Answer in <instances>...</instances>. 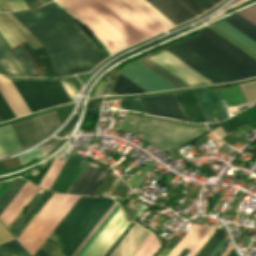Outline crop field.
Wrapping results in <instances>:
<instances>
[{"instance_id":"59","label":"crop field","mask_w":256,"mask_h":256,"mask_svg":"<svg viewBox=\"0 0 256 256\" xmlns=\"http://www.w3.org/2000/svg\"><path fill=\"white\" fill-rule=\"evenodd\" d=\"M87 164H88V161H87V163L85 164V166L82 167V169L80 170L78 176L76 177V179L74 180V182L72 183V185H74V184L76 183V181H77L78 178L80 177L81 173L83 172V170L85 169V167H86ZM72 187H73V186H72ZM70 188H71V186H70ZM70 188H69V189H70ZM68 191H69V190H68ZM68 191H67V193H68Z\"/></svg>"},{"instance_id":"26","label":"crop field","mask_w":256,"mask_h":256,"mask_svg":"<svg viewBox=\"0 0 256 256\" xmlns=\"http://www.w3.org/2000/svg\"><path fill=\"white\" fill-rule=\"evenodd\" d=\"M21 151L9 125L0 127V156H8Z\"/></svg>"},{"instance_id":"21","label":"crop field","mask_w":256,"mask_h":256,"mask_svg":"<svg viewBox=\"0 0 256 256\" xmlns=\"http://www.w3.org/2000/svg\"><path fill=\"white\" fill-rule=\"evenodd\" d=\"M240 13L256 24V5ZM241 14L237 13L223 20H225L226 22L234 26L236 29H238L239 31H241L242 33L256 41V25L248 19H246Z\"/></svg>"},{"instance_id":"47","label":"crop field","mask_w":256,"mask_h":256,"mask_svg":"<svg viewBox=\"0 0 256 256\" xmlns=\"http://www.w3.org/2000/svg\"><path fill=\"white\" fill-rule=\"evenodd\" d=\"M6 1H7L8 6L12 10H22V9L27 8V6L23 0H6Z\"/></svg>"},{"instance_id":"8","label":"crop field","mask_w":256,"mask_h":256,"mask_svg":"<svg viewBox=\"0 0 256 256\" xmlns=\"http://www.w3.org/2000/svg\"><path fill=\"white\" fill-rule=\"evenodd\" d=\"M119 73L147 92L176 88L138 61L128 64Z\"/></svg>"},{"instance_id":"19","label":"crop field","mask_w":256,"mask_h":256,"mask_svg":"<svg viewBox=\"0 0 256 256\" xmlns=\"http://www.w3.org/2000/svg\"><path fill=\"white\" fill-rule=\"evenodd\" d=\"M79 197L80 196H69L64 204L60 207V209L56 212V214L52 217L49 223L27 249L32 256L54 230V228L59 224V222L63 219V217L67 214V212L71 209V207L75 204V202L79 199Z\"/></svg>"},{"instance_id":"38","label":"crop field","mask_w":256,"mask_h":256,"mask_svg":"<svg viewBox=\"0 0 256 256\" xmlns=\"http://www.w3.org/2000/svg\"><path fill=\"white\" fill-rule=\"evenodd\" d=\"M21 251L24 249L16 240L0 245V256H10Z\"/></svg>"},{"instance_id":"25","label":"crop field","mask_w":256,"mask_h":256,"mask_svg":"<svg viewBox=\"0 0 256 256\" xmlns=\"http://www.w3.org/2000/svg\"><path fill=\"white\" fill-rule=\"evenodd\" d=\"M0 65L8 76H27L24 69L0 36Z\"/></svg>"},{"instance_id":"56","label":"crop field","mask_w":256,"mask_h":256,"mask_svg":"<svg viewBox=\"0 0 256 256\" xmlns=\"http://www.w3.org/2000/svg\"><path fill=\"white\" fill-rule=\"evenodd\" d=\"M27 37H28V39L30 40V41H28V42L31 44V46H32L33 48H36V47H40V46H41V45L39 44V42L33 37L32 34L27 35Z\"/></svg>"},{"instance_id":"17","label":"crop field","mask_w":256,"mask_h":256,"mask_svg":"<svg viewBox=\"0 0 256 256\" xmlns=\"http://www.w3.org/2000/svg\"><path fill=\"white\" fill-rule=\"evenodd\" d=\"M149 233L135 223L110 256H132Z\"/></svg>"},{"instance_id":"65","label":"crop field","mask_w":256,"mask_h":256,"mask_svg":"<svg viewBox=\"0 0 256 256\" xmlns=\"http://www.w3.org/2000/svg\"><path fill=\"white\" fill-rule=\"evenodd\" d=\"M223 129H224V131L226 132V133H229V131L226 129V127L223 125V126H221Z\"/></svg>"},{"instance_id":"16","label":"crop field","mask_w":256,"mask_h":256,"mask_svg":"<svg viewBox=\"0 0 256 256\" xmlns=\"http://www.w3.org/2000/svg\"><path fill=\"white\" fill-rule=\"evenodd\" d=\"M175 25L195 17L177 0H147Z\"/></svg>"},{"instance_id":"45","label":"crop field","mask_w":256,"mask_h":256,"mask_svg":"<svg viewBox=\"0 0 256 256\" xmlns=\"http://www.w3.org/2000/svg\"><path fill=\"white\" fill-rule=\"evenodd\" d=\"M0 116L3 119V121L10 120L15 118V115L9 108L8 104L0 94Z\"/></svg>"},{"instance_id":"20","label":"crop field","mask_w":256,"mask_h":256,"mask_svg":"<svg viewBox=\"0 0 256 256\" xmlns=\"http://www.w3.org/2000/svg\"><path fill=\"white\" fill-rule=\"evenodd\" d=\"M10 126L22 150L42 140L32 118Z\"/></svg>"},{"instance_id":"50","label":"crop field","mask_w":256,"mask_h":256,"mask_svg":"<svg viewBox=\"0 0 256 256\" xmlns=\"http://www.w3.org/2000/svg\"><path fill=\"white\" fill-rule=\"evenodd\" d=\"M140 1L143 4H145L149 9H151L155 14H157L161 19H163L167 24H169L171 27L175 26L167 18H165L160 12H158L154 7H152L147 1L145 0H140Z\"/></svg>"},{"instance_id":"18","label":"crop field","mask_w":256,"mask_h":256,"mask_svg":"<svg viewBox=\"0 0 256 256\" xmlns=\"http://www.w3.org/2000/svg\"><path fill=\"white\" fill-rule=\"evenodd\" d=\"M37 189L38 187L34 186L32 183L28 181L26 182L23 188L0 216V220L5 226H9V224L13 221V219L17 216V214L21 211Z\"/></svg>"},{"instance_id":"55","label":"crop field","mask_w":256,"mask_h":256,"mask_svg":"<svg viewBox=\"0 0 256 256\" xmlns=\"http://www.w3.org/2000/svg\"><path fill=\"white\" fill-rule=\"evenodd\" d=\"M18 27L19 29L25 34H30V32L28 30H26L21 24L19 21H17L10 13H7L6 14Z\"/></svg>"},{"instance_id":"30","label":"crop field","mask_w":256,"mask_h":256,"mask_svg":"<svg viewBox=\"0 0 256 256\" xmlns=\"http://www.w3.org/2000/svg\"><path fill=\"white\" fill-rule=\"evenodd\" d=\"M2 182H0V185L2 184ZM25 182H26V180L15 178L14 181L10 184V186L1 195V197H0V214L7 207V205L11 202V200L18 193V191L22 188V186L25 184Z\"/></svg>"},{"instance_id":"11","label":"crop field","mask_w":256,"mask_h":256,"mask_svg":"<svg viewBox=\"0 0 256 256\" xmlns=\"http://www.w3.org/2000/svg\"><path fill=\"white\" fill-rule=\"evenodd\" d=\"M164 51V49L157 51L150 56H153L159 52ZM152 60L169 70L171 73L182 79L188 84L192 83H200V82H208L209 80L188 67L186 64L169 54L168 52L164 51L156 56L150 57ZM207 84H213L212 82L208 83H200V84H192L191 86H197V85H207Z\"/></svg>"},{"instance_id":"67","label":"crop field","mask_w":256,"mask_h":256,"mask_svg":"<svg viewBox=\"0 0 256 256\" xmlns=\"http://www.w3.org/2000/svg\"><path fill=\"white\" fill-rule=\"evenodd\" d=\"M216 4L219 2V1H221V0H213Z\"/></svg>"},{"instance_id":"41","label":"crop field","mask_w":256,"mask_h":256,"mask_svg":"<svg viewBox=\"0 0 256 256\" xmlns=\"http://www.w3.org/2000/svg\"><path fill=\"white\" fill-rule=\"evenodd\" d=\"M119 107L146 113L139 98L122 99Z\"/></svg>"},{"instance_id":"58","label":"crop field","mask_w":256,"mask_h":256,"mask_svg":"<svg viewBox=\"0 0 256 256\" xmlns=\"http://www.w3.org/2000/svg\"><path fill=\"white\" fill-rule=\"evenodd\" d=\"M226 242L225 238L219 243V245L215 248V250L211 253L210 256H213L220 248L221 246ZM216 255V254H215Z\"/></svg>"},{"instance_id":"43","label":"crop field","mask_w":256,"mask_h":256,"mask_svg":"<svg viewBox=\"0 0 256 256\" xmlns=\"http://www.w3.org/2000/svg\"><path fill=\"white\" fill-rule=\"evenodd\" d=\"M18 157H19L20 162H21L22 165L29 162L34 157L37 158L38 160L44 158L40 147H37V148H35V149H33V150L23 154V155H19Z\"/></svg>"},{"instance_id":"4","label":"crop field","mask_w":256,"mask_h":256,"mask_svg":"<svg viewBox=\"0 0 256 256\" xmlns=\"http://www.w3.org/2000/svg\"><path fill=\"white\" fill-rule=\"evenodd\" d=\"M136 127L137 130L142 131L138 136L167 152L175 150L179 145L195 137L194 133L206 128L130 114H128L125 122L119 121L116 128L130 131Z\"/></svg>"},{"instance_id":"7","label":"crop field","mask_w":256,"mask_h":256,"mask_svg":"<svg viewBox=\"0 0 256 256\" xmlns=\"http://www.w3.org/2000/svg\"><path fill=\"white\" fill-rule=\"evenodd\" d=\"M165 49L214 83L235 80L182 42Z\"/></svg>"},{"instance_id":"42","label":"crop field","mask_w":256,"mask_h":256,"mask_svg":"<svg viewBox=\"0 0 256 256\" xmlns=\"http://www.w3.org/2000/svg\"><path fill=\"white\" fill-rule=\"evenodd\" d=\"M209 27H211L212 29H214L215 31H217L218 33H220L221 35L226 37L228 40H230L231 42H233L234 44H236L237 46H239L240 48H242L243 50H245L246 52H248L249 54H251L252 56H254L256 58V53L254 51H252L251 49L246 47L244 44H242L241 42H239L238 40H236L235 38H233L232 36H230L229 34L224 32L222 29H220L216 25L213 24Z\"/></svg>"},{"instance_id":"63","label":"crop field","mask_w":256,"mask_h":256,"mask_svg":"<svg viewBox=\"0 0 256 256\" xmlns=\"http://www.w3.org/2000/svg\"><path fill=\"white\" fill-rule=\"evenodd\" d=\"M189 252V250H186V249H184V251L181 253V255L180 256H186L187 255V253Z\"/></svg>"},{"instance_id":"3","label":"crop field","mask_w":256,"mask_h":256,"mask_svg":"<svg viewBox=\"0 0 256 256\" xmlns=\"http://www.w3.org/2000/svg\"><path fill=\"white\" fill-rule=\"evenodd\" d=\"M114 202L81 196L34 256H71Z\"/></svg>"},{"instance_id":"37","label":"crop field","mask_w":256,"mask_h":256,"mask_svg":"<svg viewBox=\"0 0 256 256\" xmlns=\"http://www.w3.org/2000/svg\"><path fill=\"white\" fill-rule=\"evenodd\" d=\"M63 164H64L63 161L54 159L53 163L51 164L43 180L40 182L39 186L49 189L55 177L57 176L58 172L60 171L61 167L63 166Z\"/></svg>"},{"instance_id":"28","label":"crop field","mask_w":256,"mask_h":256,"mask_svg":"<svg viewBox=\"0 0 256 256\" xmlns=\"http://www.w3.org/2000/svg\"><path fill=\"white\" fill-rule=\"evenodd\" d=\"M33 119L43 139L61 125L55 112L37 116Z\"/></svg>"},{"instance_id":"61","label":"crop field","mask_w":256,"mask_h":256,"mask_svg":"<svg viewBox=\"0 0 256 256\" xmlns=\"http://www.w3.org/2000/svg\"><path fill=\"white\" fill-rule=\"evenodd\" d=\"M172 249H163L162 252L158 256H167V254L171 251Z\"/></svg>"},{"instance_id":"51","label":"crop field","mask_w":256,"mask_h":256,"mask_svg":"<svg viewBox=\"0 0 256 256\" xmlns=\"http://www.w3.org/2000/svg\"><path fill=\"white\" fill-rule=\"evenodd\" d=\"M63 141H59V142H56V143H53V144H48V145L41 146L42 151L44 153V156L48 155L51 151H53Z\"/></svg>"},{"instance_id":"9","label":"crop field","mask_w":256,"mask_h":256,"mask_svg":"<svg viewBox=\"0 0 256 256\" xmlns=\"http://www.w3.org/2000/svg\"><path fill=\"white\" fill-rule=\"evenodd\" d=\"M68 196L54 193L17 238L27 249Z\"/></svg>"},{"instance_id":"54","label":"crop field","mask_w":256,"mask_h":256,"mask_svg":"<svg viewBox=\"0 0 256 256\" xmlns=\"http://www.w3.org/2000/svg\"><path fill=\"white\" fill-rule=\"evenodd\" d=\"M147 171V169H145L140 175L135 174L127 183L128 185H130L131 187L135 184H137V182L141 179V177L145 174V172Z\"/></svg>"},{"instance_id":"13","label":"crop field","mask_w":256,"mask_h":256,"mask_svg":"<svg viewBox=\"0 0 256 256\" xmlns=\"http://www.w3.org/2000/svg\"><path fill=\"white\" fill-rule=\"evenodd\" d=\"M211 226L204 223L203 226L193 224L182 240L176 245L168 256H179L184 248L191 250L187 256H193L209 239L212 233L216 230L217 226ZM214 228V229H213ZM210 229V230H209ZM213 231L211 232V230ZM209 230V231H208ZM208 231V233H207ZM211 232V233H210ZM207 233V236L205 235Z\"/></svg>"},{"instance_id":"23","label":"crop field","mask_w":256,"mask_h":256,"mask_svg":"<svg viewBox=\"0 0 256 256\" xmlns=\"http://www.w3.org/2000/svg\"><path fill=\"white\" fill-rule=\"evenodd\" d=\"M0 92L9 104L16 117L30 114V111L15 90L10 80L2 76H0Z\"/></svg>"},{"instance_id":"33","label":"crop field","mask_w":256,"mask_h":256,"mask_svg":"<svg viewBox=\"0 0 256 256\" xmlns=\"http://www.w3.org/2000/svg\"><path fill=\"white\" fill-rule=\"evenodd\" d=\"M215 24L256 52V43L253 40L239 32L223 20Z\"/></svg>"},{"instance_id":"52","label":"crop field","mask_w":256,"mask_h":256,"mask_svg":"<svg viewBox=\"0 0 256 256\" xmlns=\"http://www.w3.org/2000/svg\"><path fill=\"white\" fill-rule=\"evenodd\" d=\"M133 224L134 223L129 224V226L125 229V231L120 235V237L116 240V242L112 245V247L108 250V252L104 256H109V254L113 251V249L117 246V244L121 241V239L129 231V229L133 226Z\"/></svg>"},{"instance_id":"15","label":"crop field","mask_w":256,"mask_h":256,"mask_svg":"<svg viewBox=\"0 0 256 256\" xmlns=\"http://www.w3.org/2000/svg\"><path fill=\"white\" fill-rule=\"evenodd\" d=\"M200 35L256 73V61L254 59L212 31L210 28H204Z\"/></svg>"},{"instance_id":"22","label":"crop field","mask_w":256,"mask_h":256,"mask_svg":"<svg viewBox=\"0 0 256 256\" xmlns=\"http://www.w3.org/2000/svg\"><path fill=\"white\" fill-rule=\"evenodd\" d=\"M186 118L190 122H207L192 91L175 94Z\"/></svg>"},{"instance_id":"10","label":"crop field","mask_w":256,"mask_h":256,"mask_svg":"<svg viewBox=\"0 0 256 256\" xmlns=\"http://www.w3.org/2000/svg\"><path fill=\"white\" fill-rule=\"evenodd\" d=\"M129 223H125L121 209L115 214L83 256H103Z\"/></svg>"},{"instance_id":"27","label":"crop field","mask_w":256,"mask_h":256,"mask_svg":"<svg viewBox=\"0 0 256 256\" xmlns=\"http://www.w3.org/2000/svg\"><path fill=\"white\" fill-rule=\"evenodd\" d=\"M89 165L97 166L99 165L95 162H89ZM87 165L86 169L82 173L81 177L77 181V183L74 185L72 190L69 192V194H82L86 192L92 181L95 179L99 171L101 170V167H93Z\"/></svg>"},{"instance_id":"39","label":"crop field","mask_w":256,"mask_h":256,"mask_svg":"<svg viewBox=\"0 0 256 256\" xmlns=\"http://www.w3.org/2000/svg\"><path fill=\"white\" fill-rule=\"evenodd\" d=\"M240 87L249 103L252 104L256 102V81L240 84Z\"/></svg>"},{"instance_id":"40","label":"crop field","mask_w":256,"mask_h":256,"mask_svg":"<svg viewBox=\"0 0 256 256\" xmlns=\"http://www.w3.org/2000/svg\"><path fill=\"white\" fill-rule=\"evenodd\" d=\"M223 234L220 230L212 237V239L207 243V245L202 249L198 256H209L218 243L222 240Z\"/></svg>"},{"instance_id":"2","label":"crop field","mask_w":256,"mask_h":256,"mask_svg":"<svg viewBox=\"0 0 256 256\" xmlns=\"http://www.w3.org/2000/svg\"><path fill=\"white\" fill-rule=\"evenodd\" d=\"M86 23L111 52L165 27L138 0H57Z\"/></svg>"},{"instance_id":"48","label":"crop field","mask_w":256,"mask_h":256,"mask_svg":"<svg viewBox=\"0 0 256 256\" xmlns=\"http://www.w3.org/2000/svg\"><path fill=\"white\" fill-rule=\"evenodd\" d=\"M0 26L2 27V29L6 32V34L9 36V38L11 39L12 43L17 46V42L14 40V38L11 36V34L9 33V31L6 29V27L3 25V23L0 20ZM0 27V33L2 34V36L5 38V40L8 42V44L11 46V48L15 47L11 41L9 40L8 36L5 34V32L1 29Z\"/></svg>"},{"instance_id":"44","label":"crop field","mask_w":256,"mask_h":256,"mask_svg":"<svg viewBox=\"0 0 256 256\" xmlns=\"http://www.w3.org/2000/svg\"><path fill=\"white\" fill-rule=\"evenodd\" d=\"M0 19L7 27V29L10 31V33L13 35L18 44L26 41L22 34L5 18V16L2 13H0Z\"/></svg>"},{"instance_id":"6","label":"crop field","mask_w":256,"mask_h":256,"mask_svg":"<svg viewBox=\"0 0 256 256\" xmlns=\"http://www.w3.org/2000/svg\"><path fill=\"white\" fill-rule=\"evenodd\" d=\"M189 47L210 60L222 70L239 80L251 76H256L251 70L230 57L228 54L217 48L215 45L198 35L184 41Z\"/></svg>"},{"instance_id":"36","label":"crop field","mask_w":256,"mask_h":256,"mask_svg":"<svg viewBox=\"0 0 256 256\" xmlns=\"http://www.w3.org/2000/svg\"><path fill=\"white\" fill-rule=\"evenodd\" d=\"M159 247L156 237L151 233L134 256H153Z\"/></svg>"},{"instance_id":"64","label":"crop field","mask_w":256,"mask_h":256,"mask_svg":"<svg viewBox=\"0 0 256 256\" xmlns=\"http://www.w3.org/2000/svg\"><path fill=\"white\" fill-rule=\"evenodd\" d=\"M227 256H235L233 250Z\"/></svg>"},{"instance_id":"62","label":"crop field","mask_w":256,"mask_h":256,"mask_svg":"<svg viewBox=\"0 0 256 256\" xmlns=\"http://www.w3.org/2000/svg\"><path fill=\"white\" fill-rule=\"evenodd\" d=\"M13 256H30L26 251L21 252L19 254L13 255Z\"/></svg>"},{"instance_id":"66","label":"crop field","mask_w":256,"mask_h":256,"mask_svg":"<svg viewBox=\"0 0 256 256\" xmlns=\"http://www.w3.org/2000/svg\"><path fill=\"white\" fill-rule=\"evenodd\" d=\"M42 4L48 3L47 0H40Z\"/></svg>"},{"instance_id":"49","label":"crop field","mask_w":256,"mask_h":256,"mask_svg":"<svg viewBox=\"0 0 256 256\" xmlns=\"http://www.w3.org/2000/svg\"><path fill=\"white\" fill-rule=\"evenodd\" d=\"M194 2L198 7H200L204 12L216 5L211 0H191Z\"/></svg>"},{"instance_id":"34","label":"crop field","mask_w":256,"mask_h":256,"mask_svg":"<svg viewBox=\"0 0 256 256\" xmlns=\"http://www.w3.org/2000/svg\"><path fill=\"white\" fill-rule=\"evenodd\" d=\"M224 125L231 132L229 134L232 135L237 140L243 137L245 134H247L251 130H253L238 117Z\"/></svg>"},{"instance_id":"31","label":"crop field","mask_w":256,"mask_h":256,"mask_svg":"<svg viewBox=\"0 0 256 256\" xmlns=\"http://www.w3.org/2000/svg\"><path fill=\"white\" fill-rule=\"evenodd\" d=\"M116 204H117V203L115 202L114 205L109 209V211L105 214V216H104V217L101 219V221L96 225V227L92 230V232L88 235V237L83 241V243L79 246V248L75 251V253H74L72 256H75V255L79 252V250L83 247V245L87 242V240L91 237V235L95 232V230L99 227V225L103 222V220L107 217V215L111 212V210L115 207ZM117 206H118V204L116 205V207H117ZM116 207L112 210V212L116 209ZM119 208H120V207L118 206L117 209L113 212V214H112V212H111V213L108 215V217H109V216L112 214L109 218L107 217L108 220H107V218L104 220V222H105L106 220H107V221H106L105 223L103 222L104 225H103V223L100 225V227H101L102 225H103V226H102L101 228L99 227L100 230H99V228L96 230V232H97L98 230H99V231H98L97 233L95 232L96 234L94 233L95 236H94V234L92 235V237H93V236H94V237H93V238L91 237L92 239L90 238L91 241H90V239L88 240V242H89V241H90V242H89V243L87 242L88 244L86 243L87 246H86V244L84 245V247H85V246H86V247H85V248L83 247L84 249L82 248L83 251H82V249L80 250V252H81V251H82V252H81V253L79 252L80 254L78 253V254H79V255L77 254L78 256H82V254L86 251V249L90 246V244L94 241V239L98 236V234L102 231V229L106 226V224L110 221V219L114 216V214L118 211ZM77 255H76V256H77Z\"/></svg>"},{"instance_id":"29","label":"crop field","mask_w":256,"mask_h":256,"mask_svg":"<svg viewBox=\"0 0 256 256\" xmlns=\"http://www.w3.org/2000/svg\"><path fill=\"white\" fill-rule=\"evenodd\" d=\"M139 61L144 65H146L151 70H153L154 72H156L157 74H159L160 76H162L163 78H165L166 80H168L170 83H172L176 87L178 88L189 87L188 84H186L185 82H183L182 80H180L179 78H177L176 76H174L173 74H171L170 72H168L167 70H165L164 68L156 64L155 62H153L152 60H150L149 58L145 57Z\"/></svg>"},{"instance_id":"68","label":"crop field","mask_w":256,"mask_h":256,"mask_svg":"<svg viewBox=\"0 0 256 256\" xmlns=\"http://www.w3.org/2000/svg\"><path fill=\"white\" fill-rule=\"evenodd\" d=\"M215 256H220V254L216 253V255H215Z\"/></svg>"},{"instance_id":"60","label":"crop field","mask_w":256,"mask_h":256,"mask_svg":"<svg viewBox=\"0 0 256 256\" xmlns=\"http://www.w3.org/2000/svg\"><path fill=\"white\" fill-rule=\"evenodd\" d=\"M5 4H3L2 0H0V5L3 8L4 11H9V7L6 4V1L4 0Z\"/></svg>"},{"instance_id":"5","label":"crop field","mask_w":256,"mask_h":256,"mask_svg":"<svg viewBox=\"0 0 256 256\" xmlns=\"http://www.w3.org/2000/svg\"><path fill=\"white\" fill-rule=\"evenodd\" d=\"M11 82L31 113L70 102L58 81L11 80Z\"/></svg>"},{"instance_id":"14","label":"crop field","mask_w":256,"mask_h":256,"mask_svg":"<svg viewBox=\"0 0 256 256\" xmlns=\"http://www.w3.org/2000/svg\"><path fill=\"white\" fill-rule=\"evenodd\" d=\"M209 122L229 117L215 88L194 91Z\"/></svg>"},{"instance_id":"69","label":"crop field","mask_w":256,"mask_h":256,"mask_svg":"<svg viewBox=\"0 0 256 256\" xmlns=\"http://www.w3.org/2000/svg\"><path fill=\"white\" fill-rule=\"evenodd\" d=\"M0 121H2V119L0 118Z\"/></svg>"},{"instance_id":"12","label":"crop field","mask_w":256,"mask_h":256,"mask_svg":"<svg viewBox=\"0 0 256 256\" xmlns=\"http://www.w3.org/2000/svg\"><path fill=\"white\" fill-rule=\"evenodd\" d=\"M148 114L186 121L173 94L141 98Z\"/></svg>"},{"instance_id":"1","label":"crop field","mask_w":256,"mask_h":256,"mask_svg":"<svg viewBox=\"0 0 256 256\" xmlns=\"http://www.w3.org/2000/svg\"><path fill=\"white\" fill-rule=\"evenodd\" d=\"M11 14L45 47L58 76L90 71L102 61L96 45L52 3Z\"/></svg>"},{"instance_id":"24","label":"crop field","mask_w":256,"mask_h":256,"mask_svg":"<svg viewBox=\"0 0 256 256\" xmlns=\"http://www.w3.org/2000/svg\"><path fill=\"white\" fill-rule=\"evenodd\" d=\"M52 194L53 192L46 190L27 215L21 213L18 214L12 224L8 227L16 238L33 219L37 212L42 208V206L47 202V200L52 196Z\"/></svg>"},{"instance_id":"46","label":"crop field","mask_w":256,"mask_h":256,"mask_svg":"<svg viewBox=\"0 0 256 256\" xmlns=\"http://www.w3.org/2000/svg\"><path fill=\"white\" fill-rule=\"evenodd\" d=\"M107 170L105 169V166L103 167L102 171L99 173L95 181L92 183L88 191L85 193V195H92V193L95 191L97 186L100 184L104 176L107 174Z\"/></svg>"},{"instance_id":"53","label":"crop field","mask_w":256,"mask_h":256,"mask_svg":"<svg viewBox=\"0 0 256 256\" xmlns=\"http://www.w3.org/2000/svg\"><path fill=\"white\" fill-rule=\"evenodd\" d=\"M184 4H186L191 10H193L196 14L203 13L195 4H193L190 0H181Z\"/></svg>"},{"instance_id":"57","label":"crop field","mask_w":256,"mask_h":256,"mask_svg":"<svg viewBox=\"0 0 256 256\" xmlns=\"http://www.w3.org/2000/svg\"><path fill=\"white\" fill-rule=\"evenodd\" d=\"M213 133H215L217 136H219L220 138L223 137L226 133L223 131V129L221 127L215 129L214 131H212Z\"/></svg>"},{"instance_id":"32","label":"crop field","mask_w":256,"mask_h":256,"mask_svg":"<svg viewBox=\"0 0 256 256\" xmlns=\"http://www.w3.org/2000/svg\"><path fill=\"white\" fill-rule=\"evenodd\" d=\"M117 94H132L145 92L140 87L126 79L121 74H118L114 87L112 89Z\"/></svg>"},{"instance_id":"35","label":"crop field","mask_w":256,"mask_h":256,"mask_svg":"<svg viewBox=\"0 0 256 256\" xmlns=\"http://www.w3.org/2000/svg\"><path fill=\"white\" fill-rule=\"evenodd\" d=\"M14 55L17 57L19 62L24 67L28 76H39L33 62L29 59V57L24 53L20 46L11 49Z\"/></svg>"},{"instance_id":"70","label":"crop field","mask_w":256,"mask_h":256,"mask_svg":"<svg viewBox=\"0 0 256 256\" xmlns=\"http://www.w3.org/2000/svg\"><path fill=\"white\" fill-rule=\"evenodd\" d=\"M253 109H255V110H256V107H255V108H253Z\"/></svg>"}]
</instances>
